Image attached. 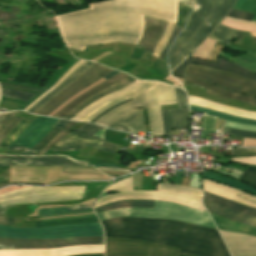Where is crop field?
Masks as SVG:
<instances>
[{
  "instance_id": "bc2a9ffb",
  "label": "crop field",
  "mask_w": 256,
  "mask_h": 256,
  "mask_svg": "<svg viewBox=\"0 0 256 256\" xmlns=\"http://www.w3.org/2000/svg\"><path fill=\"white\" fill-rule=\"evenodd\" d=\"M109 127L135 134L139 130L146 133L142 109L128 112Z\"/></svg>"
},
{
  "instance_id": "cbeb9de0",
  "label": "crop field",
  "mask_w": 256,
  "mask_h": 256,
  "mask_svg": "<svg viewBox=\"0 0 256 256\" xmlns=\"http://www.w3.org/2000/svg\"><path fill=\"white\" fill-rule=\"evenodd\" d=\"M220 233L232 256H256V237L224 231Z\"/></svg>"
},
{
  "instance_id": "4177f3b9",
  "label": "crop field",
  "mask_w": 256,
  "mask_h": 256,
  "mask_svg": "<svg viewBox=\"0 0 256 256\" xmlns=\"http://www.w3.org/2000/svg\"><path fill=\"white\" fill-rule=\"evenodd\" d=\"M218 229L227 230L232 232L246 233L256 236V229L247 225L239 224L218 215L210 214Z\"/></svg>"
},
{
  "instance_id": "447ae74e",
  "label": "crop field",
  "mask_w": 256,
  "mask_h": 256,
  "mask_svg": "<svg viewBox=\"0 0 256 256\" xmlns=\"http://www.w3.org/2000/svg\"><path fill=\"white\" fill-rule=\"evenodd\" d=\"M231 156H256V153L247 149L238 148L237 150L231 149Z\"/></svg>"
},
{
  "instance_id": "e1d0b9f6",
  "label": "crop field",
  "mask_w": 256,
  "mask_h": 256,
  "mask_svg": "<svg viewBox=\"0 0 256 256\" xmlns=\"http://www.w3.org/2000/svg\"><path fill=\"white\" fill-rule=\"evenodd\" d=\"M194 0H178V5H189L193 6Z\"/></svg>"
},
{
  "instance_id": "ade564c9",
  "label": "crop field",
  "mask_w": 256,
  "mask_h": 256,
  "mask_svg": "<svg viewBox=\"0 0 256 256\" xmlns=\"http://www.w3.org/2000/svg\"><path fill=\"white\" fill-rule=\"evenodd\" d=\"M101 146L108 147V148L113 149V150H115V151H117V148H118V147L115 146V145H112V144H109V143H105V142H103Z\"/></svg>"
},
{
  "instance_id": "34b2d1b8",
  "label": "crop field",
  "mask_w": 256,
  "mask_h": 256,
  "mask_svg": "<svg viewBox=\"0 0 256 256\" xmlns=\"http://www.w3.org/2000/svg\"><path fill=\"white\" fill-rule=\"evenodd\" d=\"M234 2L235 0H196L186 28L169 51L171 71L208 37L230 11Z\"/></svg>"
},
{
  "instance_id": "214f88e0",
  "label": "crop field",
  "mask_w": 256,
  "mask_h": 256,
  "mask_svg": "<svg viewBox=\"0 0 256 256\" xmlns=\"http://www.w3.org/2000/svg\"><path fill=\"white\" fill-rule=\"evenodd\" d=\"M185 84L187 85H193V86H197L203 89H206L208 91L223 95L225 97L237 100V101H241L247 104H252V105H256V98H252L246 95H241V94H237V93H233L230 92L228 90L222 89L220 87L202 82L200 80H197L195 78H191V77H187L185 76ZM205 90V91H206Z\"/></svg>"
},
{
  "instance_id": "d23c7cc5",
  "label": "crop field",
  "mask_w": 256,
  "mask_h": 256,
  "mask_svg": "<svg viewBox=\"0 0 256 256\" xmlns=\"http://www.w3.org/2000/svg\"><path fill=\"white\" fill-rule=\"evenodd\" d=\"M191 9L192 7H189V6H179L176 25L184 27V25L187 23L189 19Z\"/></svg>"
},
{
  "instance_id": "425ffa30",
  "label": "crop field",
  "mask_w": 256,
  "mask_h": 256,
  "mask_svg": "<svg viewBox=\"0 0 256 256\" xmlns=\"http://www.w3.org/2000/svg\"><path fill=\"white\" fill-rule=\"evenodd\" d=\"M240 180L245 181L256 187V167L249 166L244 174L241 176Z\"/></svg>"
},
{
  "instance_id": "9d1cf04e",
  "label": "crop field",
  "mask_w": 256,
  "mask_h": 256,
  "mask_svg": "<svg viewBox=\"0 0 256 256\" xmlns=\"http://www.w3.org/2000/svg\"><path fill=\"white\" fill-rule=\"evenodd\" d=\"M165 135H170L169 111H161Z\"/></svg>"
},
{
  "instance_id": "7b73153f",
  "label": "crop field",
  "mask_w": 256,
  "mask_h": 256,
  "mask_svg": "<svg viewBox=\"0 0 256 256\" xmlns=\"http://www.w3.org/2000/svg\"><path fill=\"white\" fill-rule=\"evenodd\" d=\"M14 224V217H0V225H11Z\"/></svg>"
},
{
  "instance_id": "c21b1889",
  "label": "crop field",
  "mask_w": 256,
  "mask_h": 256,
  "mask_svg": "<svg viewBox=\"0 0 256 256\" xmlns=\"http://www.w3.org/2000/svg\"><path fill=\"white\" fill-rule=\"evenodd\" d=\"M75 124H77L76 122H72L69 121L66 126L59 132V134L54 137L49 143H47L37 154L35 155H42L44 154L47 150L50 149V147L56 143L59 139L63 138L64 136H66L68 133L71 132L70 128L73 127Z\"/></svg>"
},
{
  "instance_id": "7312dd0a",
  "label": "crop field",
  "mask_w": 256,
  "mask_h": 256,
  "mask_svg": "<svg viewBox=\"0 0 256 256\" xmlns=\"http://www.w3.org/2000/svg\"><path fill=\"white\" fill-rule=\"evenodd\" d=\"M0 215H5V208H0Z\"/></svg>"
},
{
  "instance_id": "25e5ab78",
  "label": "crop field",
  "mask_w": 256,
  "mask_h": 256,
  "mask_svg": "<svg viewBox=\"0 0 256 256\" xmlns=\"http://www.w3.org/2000/svg\"><path fill=\"white\" fill-rule=\"evenodd\" d=\"M223 133L235 135V136H239V137H247V138H255L256 139V132L240 131V130H234V129L224 127Z\"/></svg>"
},
{
  "instance_id": "1d83c4d3",
  "label": "crop field",
  "mask_w": 256,
  "mask_h": 256,
  "mask_svg": "<svg viewBox=\"0 0 256 256\" xmlns=\"http://www.w3.org/2000/svg\"><path fill=\"white\" fill-rule=\"evenodd\" d=\"M243 32L233 29L226 28L220 25L210 36V38L215 39L224 45L231 43L232 39L239 38Z\"/></svg>"
},
{
  "instance_id": "0fb4a251",
  "label": "crop field",
  "mask_w": 256,
  "mask_h": 256,
  "mask_svg": "<svg viewBox=\"0 0 256 256\" xmlns=\"http://www.w3.org/2000/svg\"><path fill=\"white\" fill-rule=\"evenodd\" d=\"M181 29H182L181 27H177V26L175 27V29H174V31H173V33H172V35H171V38H170L169 42L167 43V45L165 46V48L163 49V51L161 52V54L159 55L158 58H160V59L163 60L164 56L167 54V50H168V48L170 47L172 41L174 40V38H175L176 35L180 32Z\"/></svg>"
},
{
  "instance_id": "bd1437ed",
  "label": "crop field",
  "mask_w": 256,
  "mask_h": 256,
  "mask_svg": "<svg viewBox=\"0 0 256 256\" xmlns=\"http://www.w3.org/2000/svg\"><path fill=\"white\" fill-rule=\"evenodd\" d=\"M154 201H147V200H125L120 202L111 203L99 208H96L95 211L97 213L103 212L106 210L116 209L120 207H147L153 208Z\"/></svg>"
},
{
  "instance_id": "5866460e",
  "label": "crop field",
  "mask_w": 256,
  "mask_h": 256,
  "mask_svg": "<svg viewBox=\"0 0 256 256\" xmlns=\"http://www.w3.org/2000/svg\"><path fill=\"white\" fill-rule=\"evenodd\" d=\"M171 129L189 128L188 111H170Z\"/></svg>"
},
{
  "instance_id": "28ad6ade",
  "label": "crop field",
  "mask_w": 256,
  "mask_h": 256,
  "mask_svg": "<svg viewBox=\"0 0 256 256\" xmlns=\"http://www.w3.org/2000/svg\"><path fill=\"white\" fill-rule=\"evenodd\" d=\"M87 244H104V237H77L56 240L0 239V250L24 248H61Z\"/></svg>"
},
{
  "instance_id": "f4fd0767",
  "label": "crop field",
  "mask_w": 256,
  "mask_h": 256,
  "mask_svg": "<svg viewBox=\"0 0 256 256\" xmlns=\"http://www.w3.org/2000/svg\"><path fill=\"white\" fill-rule=\"evenodd\" d=\"M77 236H104L100 223H85L39 229L0 226L1 238L56 239Z\"/></svg>"
},
{
  "instance_id": "f0312440",
  "label": "crop field",
  "mask_w": 256,
  "mask_h": 256,
  "mask_svg": "<svg viewBox=\"0 0 256 256\" xmlns=\"http://www.w3.org/2000/svg\"><path fill=\"white\" fill-rule=\"evenodd\" d=\"M0 157H17V156H3V155H0Z\"/></svg>"
},
{
  "instance_id": "00972430",
  "label": "crop field",
  "mask_w": 256,
  "mask_h": 256,
  "mask_svg": "<svg viewBox=\"0 0 256 256\" xmlns=\"http://www.w3.org/2000/svg\"><path fill=\"white\" fill-rule=\"evenodd\" d=\"M155 82L153 81H147L142 83L141 85H139L138 87H136L135 89L127 92L125 95L121 96V97H117L103 105H101L100 107L96 108L95 110H93L92 112H90L87 116H85L83 119H81V121H86L89 122L91 121L93 118H95L99 113L103 112L104 110H106L107 108L120 103L126 99H129L137 94H139L141 91H143L144 89L148 88L149 86H151L152 84H154Z\"/></svg>"
},
{
  "instance_id": "92a150f3",
  "label": "crop field",
  "mask_w": 256,
  "mask_h": 256,
  "mask_svg": "<svg viewBox=\"0 0 256 256\" xmlns=\"http://www.w3.org/2000/svg\"><path fill=\"white\" fill-rule=\"evenodd\" d=\"M203 203L205 207L207 208L208 212L221 215L227 219L244 223L250 226H253L256 228V218L245 216L243 214H240L238 212H235L233 210H230L228 208L222 207L220 205H217L213 202L205 201L203 200Z\"/></svg>"
},
{
  "instance_id": "d3111659",
  "label": "crop field",
  "mask_w": 256,
  "mask_h": 256,
  "mask_svg": "<svg viewBox=\"0 0 256 256\" xmlns=\"http://www.w3.org/2000/svg\"><path fill=\"white\" fill-rule=\"evenodd\" d=\"M204 199L213 201L217 204L223 205L225 207H228L230 209H233V210L238 211L240 213H243L245 215H250V216L256 217V209L249 208V207L237 204L235 202H232V201H229V200H226V199L208 194L206 192H205Z\"/></svg>"
},
{
  "instance_id": "d1516ede",
  "label": "crop field",
  "mask_w": 256,
  "mask_h": 256,
  "mask_svg": "<svg viewBox=\"0 0 256 256\" xmlns=\"http://www.w3.org/2000/svg\"><path fill=\"white\" fill-rule=\"evenodd\" d=\"M59 120L60 119L40 116L15 140L14 144L8 149V151L24 147L32 149L57 124Z\"/></svg>"
},
{
  "instance_id": "c5b07064",
  "label": "crop field",
  "mask_w": 256,
  "mask_h": 256,
  "mask_svg": "<svg viewBox=\"0 0 256 256\" xmlns=\"http://www.w3.org/2000/svg\"><path fill=\"white\" fill-rule=\"evenodd\" d=\"M94 167H117V168H120L116 165H113V164H95L93 165Z\"/></svg>"
},
{
  "instance_id": "dd49c442",
  "label": "crop field",
  "mask_w": 256,
  "mask_h": 256,
  "mask_svg": "<svg viewBox=\"0 0 256 256\" xmlns=\"http://www.w3.org/2000/svg\"><path fill=\"white\" fill-rule=\"evenodd\" d=\"M128 190H132V177L127 178L123 181L117 182V183L109 186L108 188H106L104 190V192H119V191H128ZM131 194H137V195H165V196L181 197V198H186V199H190V200H193V201L201 202L200 198H196V197H192V196H188V195H184V194H180V193H174V192L129 191V192H122V193L102 197L95 204H97L99 202H102V201H106V200L111 199V198H115V197H119V196H127V195H131ZM137 195H131V196H127V197H119V198L111 199V200H108L106 202H103V203H100V204L96 205L94 208L105 205V204H108L110 202H115V201H120V200H125V199H149V200H167V201L182 204V205L194 208V209L203 210L202 209L203 208L202 204L196 203V202H193V201H189V200H186V199L165 197V196H137Z\"/></svg>"
},
{
  "instance_id": "fb207236",
  "label": "crop field",
  "mask_w": 256,
  "mask_h": 256,
  "mask_svg": "<svg viewBox=\"0 0 256 256\" xmlns=\"http://www.w3.org/2000/svg\"><path fill=\"white\" fill-rule=\"evenodd\" d=\"M118 72L117 71H115V72H113V73H111V74H109V75H107V76H105V78H110L111 76H113V75H115V74H117Z\"/></svg>"
},
{
  "instance_id": "c035e120",
  "label": "crop field",
  "mask_w": 256,
  "mask_h": 256,
  "mask_svg": "<svg viewBox=\"0 0 256 256\" xmlns=\"http://www.w3.org/2000/svg\"><path fill=\"white\" fill-rule=\"evenodd\" d=\"M217 42L207 38L204 43L192 54L193 57L205 60Z\"/></svg>"
},
{
  "instance_id": "1d79db26",
  "label": "crop field",
  "mask_w": 256,
  "mask_h": 256,
  "mask_svg": "<svg viewBox=\"0 0 256 256\" xmlns=\"http://www.w3.org/2000/svg\"><path fill=\"white\" fill-rule=\"evenodd\" d=\"M253 14L251 13H245V12H240V11H234L231 10V12L228 14L229 17H234L238 19H243V20H251Z\"/></svg>"
},
{
  "instance_id": "ac0d7876",
  "label": "crop field",
  "mask_w": 256,
  "mask_h": 256,
  "mask_svg": "<svg viewBox=\"0 0 256 256\" xmlns=\"http://www.w3.org/2000/svg\"><path fill=\"white\" fill-rule=\"evenodd\" d=\"M101 223L109 237L161 243L180 248L184 254L230 256L215 229L162 219L111 218Z\"/></svg>"
},
{
  "instance_id": "e52e79f7",
  "label": "crop field",
  "mask_w": 256,
  "mask_h": 256,
  "mask_svg": "<svg viewBox=\"0 0 256 256\" xmlns=\"http://www.w3.org/2000/svg\"><path fill=\"white\" fill-rule=\"evenodd\" d=\"M177 248L147 243L137 240L128 239H115L106 237V250L105 255H136V256H149V255H169L177 256ZM178 256H193L183 255Z\"/></svg>"
},
{
  "instance_id": "dafd665d",
  "label": "crop field",
  "mask_w": 256,
  "mask_h": 256,
  "mask_svg": "<svg viewBox=\"0 0 256 256\" xmlns=\"http://www.w3.org/2000/svg\"><path fill=\"white\" fill-rule=\"evenodd\" d=\"M128 75L120 72L117 75L113 76L112 78L104 81L103 83H101L100 85L96 86L95 88H93L92 90L86 92L85 94L81 95L80 97H78L77 99L71 101L66 107H64L59 113H57L55 116L57 117H62L63 115H65L68 111H70L72 108H74L76 105H78L80 102L86 100L87 98L91 97L92 95L102 91L103 89L117 83L118 81L124 79L125 77H127Z\"/></svg>"
},
{
  "instance_id": "c3a83c6f",
  "label": "crop field",
  "mask_w": 256,
  "mask_h": 256,
  "mask_svg": "<svg viewBox=\"0 0 256 256\" xmlns=\"http://www.w3.org/2000/svg\"><path fill=\"white\" fill-rule=\"evenodd\" d=\"M68 122V120L61 119L60 122L57 124L56 127L63 128L64 125Z\"/></svg>"
},
{
  "instance_id": "b54c1fbb",
  "label": "crop field",
  "mask_w": 256,
  "mask_h": 256,
  "mask_svg": "<svg viewBox=\"0 0 256 256\" xmlns=\"http://www.w3.org/2000/svg\"><path fill=\"white\" fill-rule=\"evenodd\" d=\"M84 61V60H83ZM83 61H78L76 62L61 78L60 80L52 87L50 88L47 92H45L42 96L37 98L35 101H33L31 104H29L24 110L28 111L38 100H40L42 97H44L47 93H49L51 90H53L55 87H57L61 82H63L75 69L81 67L83 64L86 62ZM76 71V70H75ZM39 102V101H38Z\"/></svg>"
},
{
  "instance_id": "73cf0c24",
  "label": "crop field",
  "mask_w": 256,
  "mask_h": 256,
  "mask_svg": "<svg viewBox=\"0 0 256 256\" xmlns=\"http://www.w3.org/2000/svg\"><path fill=\"white\" fill-rule=\"evenodd\" d=\"M176 99L179 109H188V102L185 92L183 90L175 88Z\"/></svg>"
},
{
  "instance_id": "5d738f31",
  "label": "crop field",
  "mask_w": 256,
  "mask_h": 256,
  "mask_svg": "<svg viewBox=\"0 0 256 256\" xmlns=\"http://www.w3.org/2000/svg\"><path fill=\"white\" fill-rule=\"evenodd\" d=\"M233 9L256 13V0H238ZM253 21L256 22V15Z\"/></svg>"
},
{
  "instance_id": "0bd39190",
  "label": "crop field",
  "mask_w": 256,
  "mask_h": 256,
  "mask_svg": "<svg viewBox=\"0 0 256 256\" xmlns=\"http://www.w3.org/2000/svg\"><path fill=\"white\" fill-rule=\"evenodd\" d=\"M190 110L205 112L207 114L213 115L215 117H218V118H221V119H224V120L256 125V121H254V120L243 119V118L235 117V116H232V115L215 112V111H212V110H209V109H203V108H197V107L190 106Z\"/></svg>"
},
{
  "instance_id": "750c4746",
  "label": "crop field",
  "mask_w": 256,
  "mask_h": 256,
  "mask_svg": "<svg viewBox=\"0 0 256 256\" xmlns=\"http://www.w3.org/2000/svg\"><path fill=\"white\" fill-rule=\"evenodd\" d=\"M203 177L207 178V179H210L212 181L223 183V184H226L228 186L234 187L236 189H239V190H242V191H245V192L256 195V189H254V188H252V187H250V186H248V185H246L242 182L233 180L231 178H225V177L216 175L214 173L208 172L206 170H205V174H204Z\"/></svg>"
},
{
  "instance_id": "d8731c3e",
  "label": "crop field",
  "mask_w": 256,
  "mask_h": 256,
  "mask_svg": "<svg viewBox=\"0 0 256 256\" xmlns=\"http://www.w3.org/2000/svg\"><path fill=\"white\" fill-rule=\"evenodd\" d=\"M185 75L210 81L233 91L256 96V82L234 74L190 64Z\"/></svg>"
},
{
  "instance_id": "120bbe31",
  "label": "crop field",
  "mask_w": 256,
  "mask_h": 256,
  "mask_svg": "<svg viewBox=\"0 0 256 256\" xmlns=\"http://www.w3.org/2000/svg\"><path fill=\"white\" fill-rule=\"evenodd\" d=\"M220 56L232 62H235L256 74V54L246 53L244 55L239 56L238 58H235L225 52H222Z\"/></svg>"
},
{
  "instance_id": "180be81f",
  "label": "crop field",
  "mask_w": 256,
  "mask_h": 256,
  "mask_svg": "<svg viewBox=\"0 0 256 256\" xmlns=\"http://www.w3.org/2000/svg\"><path fill=\"white\" fill-rule=\"evenodd\" d=\"M80 256H103V255H80Z\"/></svg>"
},
{
  "instance_id": "819c52e7",
  "label": "crop field",
  "mask_w": 256,
  "mask_h": 256,
  "mask_svg": "<svg viewBox=\"0 0 256 256\" xmlns=\"http://www.w3.org/2000/svg\"><path fill=\"white\" fill-rule=\"evenodd\" d=\"M251 38H253L254 40H256V38H255V37H252V36H251Z\"/></svg>"
},
{
  "instance_id": "dbb93151",
  "label": "crop field",
  "mask_w": 256,
  "mask_h": 256,
  "mask_svg": "<svg viewBox=\"0 0 256 256\" xmlns=\"http://www.w3.org/2000/svg\"><path fill=\"white\" fill-rule=\"evenodd\" d=\"M215 117L204 114L202 129L213 130L215 124Z\"/></svg>"
},
{
  "instance_id": "c39391a2",
  "label": "crop field",
  "mask_w": 256,
  "mask_h": 256,
  "mask_svg": "<svg viewBox=\"0 0 256 256\" xmlns=\"http://www.w3.org/2000/svg\"><path fill=\"white\" fill-rule=\"evenodd\" d=\"M99 170H106V171H127L130 172V170H126V169H116V168H97Z\"/></svg>"
},
{
  "instance_id": "b80d0937",
  "label": "crop field",
  "mask_w": 256,
  "mask_h": 256,
  "mask_svg": "<svg viewBox=\"0 0 256 256\" xmlns=\"http://www.w3.org/2000/svg\"><path fill=\"white\" fill-rule=\"evenodd\" d=\"M157 190H165V191H174V192H180L196 197L202 196L201 190L192 189L184 186H178V185H168V184H161L159 183Z\"/></svg>"
},
{
  "instance_id": "0f1d7ab4",
  "label": "crop field",
  "mask_w": 256,
  "mask_h": 256,
  "mask_svg": "<svg viewBox=\"0 0 256 256\" xmlns=\"http://www.w3.org/2000/svg\"><path fill=\"white\" fill-rule=\"evenodd\" d=\"M0 85L18 87V88H23V89H27V90H31V91H36V92L41 91L39 89H34V88H30V87H26V86H21V85H9V84H2V83H0Z\"/></svg>"
},
{
  "instance_id": "eef30255",
  "label": "crop field",
  "mask_w": 256,
  "mask_h": 256,
  "mask_svg": "<svg viewBox=\"0 0 256 256\" xmlns=\"http://www.w3.org/2000/svg\"><path fill=\"white\" fill-rule=\"evenodd\" d=\"M93 63L88 62L85 65H83L81 68L74 71L63 83H61L55 90L50 92L48 95H46L44 98H42L39 102H37L30 110L29 112L35 111L38 107H40L42 104H44L46 101H48L50 98H52L54 95H56L58 92H60L62 89H64L66 86H68L72 81H74L78 76H80L86 69H88Z\"/></svg>"
},
{
  "instance_id": "3316defc",
  "label": "crop field",
  "mask_w": 256,
  "mask_h": 256,
  "mask_svg": "<svg viewBox=\"0 0 256 256\" xmlns=\"http://www.w3.org/2000/svg\"><path fill=\"white\" fill-rule=\"evenodd\" d=\"M104 129L93 124H86L78 130L72 129L73 132L54 145V151L80 149L81 145H84L115 153L113 150L99 146L103 142Z\"/></svg>"
},
{
  "instance_id": "028f5c9d",
  "label": "crop field",
  "mask_w": 256,
  "mask_h": 256,
  "mask_svg": "<svg viewBox=\"0 0 256 256\" xmlns=\"http://www.w3.org/2000/svg\"><path fill=\"white\" fill-rule=\"evenodd\" d=\"M92 204H83V205H75V206H67V207H59V208H51V209H42L38 211V215H48V214H62V213H70L74 211L81 210H89L92 209Z\"/></svg>"
},
{
  "instance_id": "d14b1444",
  "label": "crop field",
  "mask_w": 256,
  "mask_h": 256,
  "mask_svg": "<svg viewBox=\"0 0 256 256\" xmlns=\"http://www.w3.org/2000/svg\"><path fill=\"white\" fill-rule=\"evenodd\" d=\"M35 153H36V151H32V150L26 148L19 155H34Z\"/></svg>"
},
{
  "instance_id": "d9b57169",
  "label": "crop field",
  "mask_w": 256,
  "mask_h": 256,
  "mask_svg": "<svg viewBox=\"0 0 256 256\" xmlns=\"http://www.w3.org/2000/svg\"><path fill=\"white\" fill-rule=\"evenodd\" d=\"M197 63V64H201V65H205V66H209V67H214V68H218V69H222L225 71H229L235 74H238L240 76L249 78L251 80L256 81V75L225 60V59H217L216 63H210V62H206V61H202V60H198V59H194V58H190L188 57L182 64H180L173 72L172 75L177 76L179 78L183 79V70L184 68L190 63Z\"/></svg>"
},
{
  "instance_id": "ae633e8c",
  "label": "crop field",
  "mask_w": 256,
  "mask_h": 256,
  "mask_svg": "<svg viewBox=\"0 0 256 256\" xmlns=\"http://www.w3.org/2000/svg\"><path fill=\"white\" fill-rule=\"evenodd\" d=\"M131 100H132V99L126 100V101H124V102H122V103H120V104H117V105L111 107L110 109H108V110H106L105 112H103L101 115H99L97 118H95V119L92 120L91 122L96 121L98 118H100L102 115H104L105 113H107L109 110H111V109H113V108H115V107H117V106H119V105H121V104H124V103H126V102H129V101H131Z\"/></svg>"
},
{
  "instance_id": "1f1604b0",
  "label": "crop field",
  "mask_w": 256,
  "mask_h": 256,
  "mask_svg": "<svg viewBox=\"0 0 256 256\" xmlns=\"http://www.w3.org/2000/svg\"><path fill=\"white\" fill-rule=\"evenodd\" d=\"M6 185H9V184H2V185H0V187H2V186H6Z\"/></svg>"
},
{
  "instance_id": "4a817a6b",
  "label": "crop field",
  "mask_w": 256,
  "mask_h": 256,
  "mask_svg": "<svg viewBox=\"0 0 256 256\" xmlns=\"http://www.w3.org/2000/svg\"><path fill=\"white\" fill-rule=\"evenodd\" d=\"M144 22V32L138 45L152 53L156 43L160 39L165 29L167 22L146 17H144Z\"/></svg>"
},
{
  "instance_id": "0765c3eb",
  "label": "crop field",
  "mask_w": 256,
  "mask_h": 256,
  "mask_svg": "<svg viewBox=\"0 0 256 256\" xmlns=\"http://www.w3.org/2000/svg\"><path fill=\"white\" fill-rule=\"evenodd\" d=\"M226 47L220 45L217 43V45L215 46V48L213 49V51L211 52V54L209 55V57L207 58L208 61H212L215 62L217 56L220 54V52L222 50H224Z\"/></svg>"
},
{
  "instance_id": "78b8030e",
  "label": "crop field",
  "mask_w": 256,
  "mask_h": 256,
  "mask_svg": "<svg viewBox=\"0 0 256 256\" xmlns=\"http://www.w3.org/2000/svg\"><path fill=\"white\" fill-rule=\"evenodd\" d=\"M225 20H229V21H232V22L240 23V24H246V25L256 26V23H254V22H248V21L233 19V18H229V17H226Z\"/></svg>"
},
{
  "instance_id": "730fd06b",
  "label": "crop field",
  "mask_w": 256,
  "mask_h": 256,
  "mask_svg": "<svg viewBox=\"0 0 256 256\" xmlns=\"http://www.w3.org/2000/svg\"><path fill=\"white\" fill-rule=\"evenodd\" d=\"M143 81H134L133 83H131L130 85H128L127 87L119 90V91H116L114 93H111L99 100H97L96 102H94L93 104L89 105L88 107H86L84 110H82L80 113H78L75 117H73L72 119H75V120H79L81 118H83L88 112L92 111L93 109H95L96 107L100 106L101 104L117 97V96H120V95H123L124 93H126L127 91L135 88L136 86H138L139 84H141Z\"/></svg>"
},
{
  "instance_id": "89e229c0",
  "label": "crop field",
  "mask_w": 256,
  "mask_h": 256,
  "mask_svg": "<svg viewBox=\"0 0 256 256\" xmlns=\"http://www.w3.org/2000/svg\"><path fill=\"white\" fill-rule=\"evenodd\" d=\"M224 126L240 130L256 131V126L244 125L229 121H226Z\"/></svg>"
},
{
  "instance_id": "a9b5d70f",
  "label": "crop field",
  "mask_w": 256,
  "mask_h": 256,
  "mask_svg": "<svg viewBox=\"0 0 256 256\" xmlns=\"http://www.w3.org/2000/svg\"><path fill=\"white\" fill-rule=\"evenodd\" d=\"M134 78L132 77H127L126 79L122 80L121 82L103 90L102 92L94 95L93 97L87 99L86 101H84L83 103L79 104L78 106H76L73 110H71L69 113H67L65 116H63L64 118H68L71 119L73 116H75L79 111H81L83 108H85L86 106H88L89 104L93 103L94 101H96L97 99L111 93L114 92L116 90H119L123 87H125L126 85L130 84L131 82H133Z\"/></svg>"
},
{
  "instance_id": "5a996713",
  "label": "crop field",
  "mask_w": 256,
  "mask_h": 256,
  "mask_svg": "<svg viewBox=\"0 0 256 256\" xmlns=\"http://www.w3.org/2000/svg\"><path fill=\"white\" fill-rule=\"evenodd\" d=\"M113 70L104 68L99 65H92L87 71H85L79 78H77L73 83H71L67 88L57 94L55 97L50 99L40 108H38L33 114L37 115H48L54 109L63 104L66 100L74 96L83 88L87 87L94 81L100 79L101 77L111 73Z\"/></svg>"
},
{
  "instance_id": "ae1a2a85",
  "label": "crop field",
  "mask_w": 256,
  "mask_h": 256,
  "mask_svg": "<svg viewBox=\"0 0 256 256\" xmlns=\"http://www.w3.org/2000/svg\"><path fill=\"white\" fill-rule=\"evenodd\" d=\"M85 186H69V187H27L16 191L0 194V199L23 195L31 192L52 191V190H84Z\"/></svg>"
},
{
  "instance_id": "c821d689",
  "label": "crop field",
  "mask_w": 256,
  "mask_h": 256,
  "mask_svg": "<svg viewBox=\"0 0 256 256\" xmlns=\"http://www.w3.org/2000/svg\"><path fill=\"white\" fill-rule=\"evenodd\" d=\"M252 150H255V151H256V149H252Z\"/></svg>"
},
{
  "instance_id": "5142ce71",
  "label": "crop field",
  "mask_w": 256,
  "mask_h": 256,
  "mask_svg": "<svg viewBox=\"0 0 256 256\" xmlns=\"http://www.w3.org/2000/svg\"><path fill=\"white\" fill-rule=\"evenodd\" d=\"M6 165H63L90 167L82 162H77L64 156L52 157H19L0 159V166Z\"/></svg>"
},
{
  "instance_id": "1f2cbd36",
  "label": "crop field",
  "mask_w": 256,
  "mask_h": 256,
  "mask_svg": "<svg viewBox=\"0 0 256 256\" xmlns=\"http://www.w3.org/2000/svg\"><path fill=\"white\" fill-rule=\"evenodd\" d=\"M60 128H54L40 143H38L33 150L38 151L41 147H43L48 141H50L58 132Z\"/></svg>"
},
{
  "instance_id": "733c2abd",
  "label": "crop field",
  "mask_w": 256,
  "mask_h": 256,
  "mask_svg": "<svg viewBox=\"0 0 256 256\" xmlns=\"http://www.w3.org/2000/svg\"><path fill=\"white\" fill-rule=\"evenodd\" d=\"M202 184H203L204 190H206L214 195H217V196H220V197H223V198L256 208V203L236 197V196H234V194L242 196V197L250 199V200H253V201H256V197H254V196L248 195L244 192L233 189L226 185L218 184V183H215V182H212L209 180H205V179L202 180Z\"/></svg>"
},
{
  "instance_id": "03da06ac",
  "label": "crop field",
  "mask_w": 256,
  "mask_h": 256,
  "mask_svg": "<svg viewBox=\"0 0 256 256\" xmlns=\"http://www.w3.org/2000/svg\"><path fill=\"white\" fill-rule=\"evenodd\" d=\"M1 93H2V96L4 97H9V98L22 100L26 102H28L33 96H35L34 94L21 92L13 89H5V88H1Z\"/></svg>"
},
{
  "instance_id": "22f410ed",
  "label": "crop field",
  "mask_w": 256,
  "mask_h": 256,
  "mask_svg": "<svg viewBox=\"0 0 256 256\" xmlns=\"http://www.w3.org/2000/svg\"><path fill=\"white\" fill-rule=\"evenodd\" d=\"M84 191H52L26 194L19 197L0 200V205L29 204L37 202L81 199Z\"/></svg>"
},
{
  "instance_id": "d32e631a",
  "label": "crop field",
  "mask_w": 256,
  "mask_h": 256,
  "mask_svg": "<svg viewBox=\"0 0 256 256\" xmlns=\"http://www.w3.org/2000/svg\"><path fill=\"white\" fill-rule=\"evenodd\" d=\"M22 118H15L14 112L0 114V143L9 131L21 120Z\"/></svg>"
},
{
  "instance_id": "db79e9e6",
  "label": "crop field",
  "mask_w": 256,
  "mask_h": 256,
  "mask_svg": "<svg viewBox=\"0 0 256 256\" xmlns=\"http://www.w3.org/2000/svg\"><path fill=\"white\" fill-rule=\"evenodd\" d=\"M232 160L241 162V163H246V164H256V157H254V158H234Z\"/></svg>"
},
{
  "instance_id": "e1f06a70",
  "label": "crop field",
  "mask_w": 256,
  "mask_h": 256,
  "mask_svg": "<svg viewBox=\"0 0 256 256\" xmlns=\"http://www.w3.org/2000/svg\"><path fill=\"white\" fill-rule=\"evenodd\" d=\"M33 120L34 119L26 121L23 119L20 123H18L6 136L0 147L8 149L12 142L30 125Z\"/></svg>"
},
{
  "instance_id": "412701ff",
  "label": "crop field",
  "mask_w": 256,
  "mask_h": 256,
  "mask_svg": "<svg viewBox=\"0 0 256 256\" xmlns=\"http://www.w3.org/2000/svg\"><path fill=\"white\" fill-rule=\"evenodd\" d=\"M173 103H176L174 87L156 82L153 86L133 97L132 102L109 111L95 123L108 127L128 111L147 107L151 135H164L160 105Z\"/></svg>"
},
{
  "instance_id": "8a807250",
  "label": "crop field",
  "mask_w": 256,
  "mask_h": 256,
  "mask_svg": "<svg viewBox=\"0 0 256 256\" xmlns=\"http://www.w3.org/2000/svg\"><path fill=\"white\" fill-rule=\"evenodd\" d=\"M143 16L175 23L177 0H111L56 18L65 44L85 51L86 46L111 42L137 44L144 28ZM170 22L154 50L157 57L175 26Z\"/></svg>"
}]
</instances>
